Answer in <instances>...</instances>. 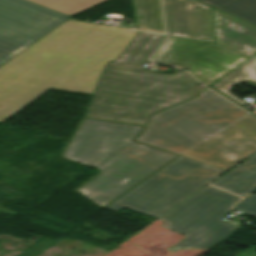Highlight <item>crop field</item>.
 <instances>
[{
    "instance_id": "obj_18",
    "label": "crop field",
    "mask_w": 256,
    "mask_h": 256,
    "mask_svg": "<svg viewBox=\"0 0 256 256\" xmlns=\"http://www.w3.org/2000/svg\"><path fill=\"white\" fill-rule=\"evenodd\" d=\"M211 88V87H210ZM212 90H214L213 88H211ZM214 91H216V90H214ZM217 92V91H216ZM217 93H219V92H217ZM220 94V93H219ZM220 95H222V94H220ZM223 96V95H222ZM225 97V96H224ZM225 98H227V97H225ZM228 99V98H227ZM228 100H230V99H228ZM231 101V100H230ZM233 102V101H232ZM233 103H235V102H233ZM236 104V103H235ZM236 105H238V104H236ZM238 106H240V105H238ZM241 107V106H240ZM241 108H243V107H241ZM244 110H246L245 108H243ZM246 111H248V110H246ZM249 112V111H248Z\"/></svg>"
},
{
    "instance_id": "obj_2",
    "label": "crop field",
    "mask_w": 256,
    "mask_h": 256,
    "mask_svg": "<svg viewBox=\"0 0 256 256\" xmlns=\"http://www.w3.org/2000/svg\"><path fill=\"white\" fill-rule=\"evenodd\" d=\"M164 38L138 32L118 59L105 66L85 116L146 126L152 114L197 96L203 89L190 74L173 76L142 67Z\"/></svg>"
},
{
    "instance_id": "obj_1",
    "label": "crop field",
    "mask_w": 256,
    "mask_h": 256,
    "mask_svg": "<svg viewBox=\"0 0 256 256\" xmlns=\"http://www.w3.org/2000/svg\"><path fill=\"white\" fill-rule=\"evenodd\" d=\"M136 33L65 21L0 67V122L51 88L90 94Z\"/></svg>"
},
{
    "instance_id": "obj_3",
    "label": "crop field",
    "mask_w": 256,
    "mask_h": 256,
    "mask_svg": "<svg viewBox=\"0 0 256 256\" xmlns=\"http://www.w3.org/2000/svg\"><path fill=\"white\" fill-rule=\"evenodd\" d=\"M143 129L84 117L61 157L99 174L74 191L102 208L178 157L133 141Z\"/></svg>"
},
{
    "instance_id": "obj_9",
    "label": "crop field",
    "mask_w": 256,
    "mask_h": 256,
    "mask_svg": "<svg viewBox=\"0 0 256 256\" xmlns=\"http://www.w3.org/2000/svg\"><path fill=\"white\" fill-rule=\"evenodd\" d=\"M256 150V118L246 115L182 156L228 170Z\"/></svg>"
},
{
    "instance_id": "obj_17",
    "label": "crop field",
    "mask_w": 256,
    "mask_h": 256,
    "mask_svg": "<svg viewBox=\"0 0 256 256\" xmlns=\"http://www.w3.org/2000/svg\"><path fill=\"white\" fill-rule=\"evenodd\" d=\"M234 208L238 210H242V212L252 217H256V194L247 197L240 203L236 204Z\"/></svg>"
},
{
    "instance_id": "obj_7",
    "label": "crop field",
    "mask_w": 256,
    "mask_h": 256,
    "mask_svg": "<svg viewBox=\"0 0 256 256\" xmlns=\"http://www.w3.org/2000/svg\"><path fill=\"white\" fill-rule=\"evenodd\" d=\"M68 18L25 0H0V66Z\"/></svg>"
},
{
    "instance_id": "obj_4",
    "label": "crop field",
    "mask_w": 256,
    "mask_h": 256,
    "mask_svg": "<svg viewBox=\"0 0 256 256\" xmlns=\"http://www.w3.org/2000/svg\"><path fill=\"white\" fill-rule=\"evenodd\" d=\"M244 114L207 89L196 99L154 115L136 141L180 154Z\"/></svg>"
},
{
    "instance_id": "obj_10",
    "label": "crop field",
    "mask_w": 256,
    "mask_h": 256,
    "mask_svg": "<svg viewBox=\"0 0 256 256\" xmlns=\"http://www.w3.org/2000/svg\"><path fill=\"white\" fill-rule=\"evenodd\" d=\"M169 35L213 42L210 7L195 0H163Z\"/></svg>"
},
{
    "instance_id": "obj_12",
    "label": "crop field",
    "mask_w": 256,
    "mask_h": 256,
    "mask_svg": "<svg viewBox=\"0 0 256 256\" xmlns=\"http://www.w3.org/2000/svg\"><path fill=\"white\" fill-rule=\"evenodd\" d=\"M212 185L240 197L256 190V153L217 179Z\"/></svg>"
},
{
    "instance_id": "obj_11",
    "label": "crop field",
    "mask_w": 256,
    "mask_h": 256,
    "mask_svg": "<svg viewBox=\"0 0 256 256\" xmlns=\"http://www.w3.org/2000/svg\"><path fill=\"white\" fill-rule=\"evenodd\" d=\"M216 44L246 55L256 53V27L211 7Z\"/></svg>"
},
{
    "instance_id": "obj_15",
    "label": "crop field",
    "mask_w": 256,
    "mask_h": 256,
    "mask_svg": "<svg viewBox=\"0 0 256 256\" xmlns=\"http://www.w3.org/2000/svg\"><path fill=\"white\" fill-rule=\"evenodd\" d=\"M227 12L241 20L256 25V0H199Z\"/></svg>"
},
{
    "instance_id": "obj_8",
    "label": "crop field",
    "mask_w": 256,
    "mask_h": 256,
    "mask_svg": "<svg viewBox=\"0 0 256 256\" xmlns=\"http://www.w3.org/2000/svg\"><path fill=\"white\" fill-rule=\"evenodd\" d=\"M247 58L214 43L169 36L152 59L167 66L174 63L210 86Z\"/></svg>"
},
{
    "instance_id": "obj_16",
    "label": "crop field",
    "mask_w": 256,
    "mask_h": 256,
    "mask_svg": "<svg viewBox=\"0 0 256 256\" xmlns=\"http://www.w3.org/2000/svg\"><path fill=\"white\" fill-rule=\"evenodd\" d=\"M55 11L73 16L106 0H28Z\"/></svg>"
},
{
    "instance_id": "obj_6",
    "label": "crop field",
    "mask_w": 256,
    "mask_h": 256,
    "mask_svg": "<svg viewBox=\"0 0 256 256\" xmlns=\"http://www.w3.org/2000/svg\"><path fill=\"white\" fill-rule=\"evenodd\" d=\"M238 200L240 198L205 186L158 218L166 222L161 226L185 236L167 250L211 248L218 244L235 229L221 219L230 213L231 205Z\"/></svg>"
},
{
    "instance_id": "obj_14",
    "label": "crop field",
    "mask_w": 256,
    "mask_h": 256,
    "mask_svg": "<svg viewBox=\"0 0 256 256\" xmlns=\"http://www.w3.org/2000/svg\"><path fill=\"white\" fill-rule=\"evenodd\" d=\"M242 82H245L256 88V56L251 58L249 61L244 63L242 66L237 68L235 71L230 73L228 76L223 78L212 87L244 105L246 104L245 102L230 93L231 87Z\"/></svg>"
},
{
    "instance_id": "obj_5",
    "label": "crop field",
    "mask_w": 256,
    "mask_h": 256,
    "mask_svg": "<svg viewBox=\"0 0 256 256\" xmlns=\"http://www.w3.org/2000/svg\"><path fill=\"white\" fill-rule=\"evenodd\" d=\"M224 170L179 156L106 207H123L158 218Z\"/></svg>"
},
{
    "instance_id": "obj_13",
    "label": "crop field",
    "mask_w": 256,
    "mask_h": 256,
    "mask_svg": "<svg viewBox=\"0 0 256 256\" xmlns=\"http://www.w3.org/2000/svg\"><path fill=\"white\" fill-rule=\"evenodd\" d=\"M136 27L144 31L164 33L160 0H133Z\"/></svg>"
},
{
    "instance_id": "obj_19",
    "label": "crop field",
    "mask_w": 256,
    "mask_h": 256,
    "mask_svg": "<svg viewBox=\"0 0 256 256\" xmlns=\"http://www.w3.org/2000/svg\"><path fill=\"white\" fill-rule=\"evenodd\" d=\"M252 114L256 115V111H255V112H253Z\"/></svg>"
}]
</instances>
